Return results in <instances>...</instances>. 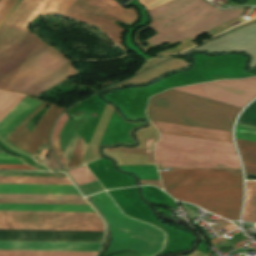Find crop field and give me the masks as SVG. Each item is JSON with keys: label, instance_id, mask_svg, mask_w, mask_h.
I'll list each match as a JSON object with an SVG mask.
<instances>
[{"label": "crop field", "instance_id": "crop-field-1", "mask_svg": "<svg viewBox=\"0 0 256 256\" xmlns=\"http://www.w3.org/2000/svg\"><path fill=\"white\" fill-rule=\"evenodd\" d=\"M75 0H23L9 21L29 29L31 20L43 14L63 15ZM105 32L119 46L125 31L113 21L129 27L138 20L133 8L123 9L114 0H76L63 15ZM7 21L0 30V71L28 30ZM77 73L60 53L29 31L0 73V89L37 96L56 83Z\"/></svg>", "mask_w": 256, "mask_h": 256}, {"label": "crop field", "instance_id": "crop-field-2", "mask_svg": "<svg viewBox=\"0 0 256 256\" xmlns=\"http://www.w3.org/2000/svg\"><path fill=\"white\" fill-rule=\"evenodd\" d=\"M169 1L139 0L147 11ZM243 10H219L203 0H173L149 11L153 20L148 26L159 32L149 41L156 48L167 42L172 45L189 37L194 39L240 16Z\"/></svg>", "mask_w": 256, "mask_h": 256}, {"label": "crop field", "instance_id": "crop-field-3", "mask_svg": "<svg viewBox=\"0 0 256 256\" xmlns=\"http://www.w3.org/2000/svg\"><path fill=\"white\" fill-rule=\"evenodd\" d=\"M241 108L170 89L150 99V120L231 132Z\"/></svg>", "mask_w": 256, "mask_h": 256}, {"label": "crop field", "instance_id": "crop-field-4", "mask_svg": "<svg viewBox=\"0 0 256 256\" xmlns=\"http://www.w3.org/2000/svg\"><path fill=\"white\" fill-rule=\"evenodd\" d=\"M92 198L111 229V243L106 254L133 250L152 256L163 248L164 232L152 225L124 216L106 192L92 195Z\"/></svg>", "mask_w": 256, "mask_h": 256}, {"label": "crop field", "instance_id": "crop-field-5", "mask_svg": "<svg viewBox=\"0 0 256 256\" xmlns=\"http://www.w3.org/2000/svg\"><path fill=\"white\" fill-rule=\"evenodd\" d=\"M37 101H33L30 99ZM1 123L0 137L11 147L20 150L31 156L39 143L48 144L50 128L56 118L65 110V108L52 103L35 99L27 96ZM40 104V105H39ZM52 105L43 115L33 132L31 133L25 126L28 121L46 105ZM39 105V106H38ZM38 106V107H37ZM37 107V108H36ZM36 108V109H35ZM35 109V110H34ZM34 110V111H33ZM33 111V112H32ZM32 112V113H31ZM31 113V114H30ZM30 114V115H29ZM29 115V116H28ZM28 116L27 118H25ZM25 118V119H24ZM24 119V120H23ZM23 120V121H22ZM22 121V122H21ZM21 122V123H20ZM20 123V124H19ZM19 124V125H18ZM18 125V126H17ZM17 126V127H16ZM16 127V128H15ZM15 128V129H14ZM14 129V130H13ZM13 130V131H12ZM12 131V132H11ZM11 132V134H10ZM10 136L8 137V135ZM8 137V139H7ZM31 153H27L15 146Z\"/></svg>", "mask_w": 256, "mask_h": 256}, {"label": "crop field", "instance_id": "crop-field-6", "mask_svg": "<svg viewBox=\"0 0 256 256\" xmlns=\"http://www.w3.org/2000/svg\"><path fill=\"white\" fill-rule=\"evenodd\" d=\"M0 229L104 231L96 213L0 211Z\"/></svg>", "mask_w": 256, "mask_h": 256}, {"label": "crop field", "instance_id": "crop-field-7", "mask_svg": "<svg viewBox=\"0 0 256 256\" xmlns=\"http://www.w3.org/2000/svg\"><path fill=\"white\" fill-rule=\"evenodd\" d=\"M163 185L165 191L177 199L188 201L229 220H238L242 202V186Z\"/></svg>", "mask_w": 256, "mask_h": 256}, {"label": "crop field", "instance_id": "crop-field-8", "mask_svg": "<svg viewBox=\"0 0 256 256\" xmlns=\"http://www.w3.org/2000/svg\"><path fill=\"white\" fill-rule=\"evenodd\" d=\"M158 167L240 168L236 154L158 143Z\"/></svg>", "mask_w": 256, "mask_h": 256}, {"label": "crop field", "instance_id": "crop-field-9", "mask_svg": "<svg viewBox=\"0 0 256 256\" xmlns=\"http://www.w3.org/2000/svg\"><path fill=\"white\" fill-rule=\"evenodd\" d=\"M175 89L243 108L245 104L256 97V77Z\"/></svg>", "mask_w": 256, "mask_h": 256}, {"label": "crop field", "instance_id": "crop-field-10", "mask_svg": "<svg viewBox=\"0 0 256 256\" xmlns=\"http://www.w3.org/2000/svg\"><path fill=\"white\" fill-rule=\"evenodd\" d=\"M102 243L0 241L2 250L98 251ZM97 252L1 251L0 256H95Z\"/></svg>", "mask_w": 256, "mask_h": 256}, {"label": "crop field", "instance_id": "crop-field-11", "mask_svg": "<svg viewBox=\"0 0 256 256\" xmlns=\"http://www.w3.org/2000/svg\"><path fill=\"white\" fill-rule=\"evenodd\" d=\"M159 173L163 183L242 185L240 170L172 169Z\"/></svg>", "mask_w": 256, "mask_h": 256}, {"label": "crop field", "instance_id": "crop-field-12", "mask_svg": "<svg viewBox=\"0 0 256 256\" xmlns=\"http://www.w3.org/2000/svg\"><path fill=\"white\" fill-rule=\"evenodd\" d=\"M152 122L160 133L232 143L231 133L228 132Z\"/></svg>", "mask_w": 256, "mask_h": 256}, {"label": "crop field", "instance_id": "crop-field-13", "mask_svg": "<svg viewBox=\"0 0 256 256\" xmlns=\"http://www.w3.org/2000/svg\"><path fill=\"white\" fill-rule=\"evenodd\" d=\"M236 137L256 140V127L237 125ZM236 138L245 171L256 174V141Z\"/></svg>", "mask_w": 256, "mask_h": 256}, {"label": "crop field", "instance_id": "crop-field-14", "mask_svg": "<svg viewBox=\"0 0 256 256\" xmlns=\"http://www.w3.org/2000/svg\"><path fill=\"white\" fill-rule=\"evenodd\" d=\"M0 193L80 195L74 186L0 184Z\"/></svg>", "mask_w": 256, "mask_h": 256}, {"label": "crop field", "instance_id": "crop-field-15", "mask_svg": "<svg viewBox=\"0 0 256 256\" xmlns=\"http://www.w3.org/2000/svg\"><path fill=\"white\" fill-rule=\"evenodd\" d=\"M161 143L236 153L232 144L161 134Z\"/></svg>", "mask_w": 256, "mask_h": 256}, {"label": "crop field", "instance_id": "crop-field-16", "mask_svg": "<svg viewBox=\"0 0 256 256\" xmlns=\"http://www.w3.org/2000/svg\"><path fill=\"white\" fill-rule=\"evenodd\" d=\"M0 210L94 212L89 206L0 204Z\"/></svg>", "mask_w": 256, "mask_h": 256}, {"label": "crop field", "instance_id": "crop-field-17", "mask_svg": "<svg viewBox=\"0 0 256 256\" xmlns=\"http://www.w3.org/2000/svg\"><path fill=\"white\" fill-rule=\"evenodd\" d=\"M0 183L72 185L68 178L51 177H0Z\"/></svg>", "mask_w": 256, "mask_h": 256}, {"label": "crop field", "instance_id": "crop-field-18", "mask_svg": "<svg viewBox=\"0 0 256 256\" xmlns=\"http://www.w3.org/2000/svg\"><path fill=\"white\" fill-rule=\"evenodd\" d=\"M25 96L15 92L0 90V122Z\"/></svg>", "mask_w": 256, "mask_h": 256}, {"label": "crop field", "instance_id": "crop-field-19", "mask_svg": "<svg viewBox=\"0 0 256 256\" xmlns=\"http://www.w3.org/2000/svg\"><path fill=\"white\" fill-rule=\"evenodd\" d=\"M243 221L256 222V182H247V202Z\"/></svg>", "mask_w": 256, "mask_h": 256}, {"label": "crop field", "instance_id": "crop-field-20", "mask_svg": "<svg viewBox=\"0 0 256 256\" xmlns=\"http://www.w3.org/2000/svg\"><path fill=\"white\" fill-rule=\"evenodd\" d=\"M67 172L79 186L96 181L86 166L68 170Z\"/></svg>", "mask_w": 256, "mask_h": 256}, {"label": "crop field", "instance_id": "crop-field-21", "mask_svg": "<svg viewBox=\"0 0 256 256\" xmlns=\"http://www.w3.org/2000/svg\"><path fill=\"white\" fill-rule=\"evenodd\" d=\"M22 0H0V29Z\"/></svg>", "mask_w": 256, "mask_h": 256}, {"label": "crop field", "instance_id": "crop-field-22", "mask_svg": "<svg viewBox=\"0 0 256 256\" xmlns=\"http://www.w3.org/2000/svg\"><path fill=\"white\" fill-rule=\"evenodd\" d=\"M0 198L83 200L82 196L0 194Z\"/></svg>", "mask_w": 256, "mask_h": 256}, {"label": "crop field", "instance_id": "crop-field-23", "mask_svg": "<svg viewBox=\"0 0 256 256\" xmlns=\"http://www.w3.org/2000/svg\"><path fill=\"white\" fill-rule=\"evenodd\" d=\"M66 118H67L66 114H63L61 116L60 120L58 121V123L55 126L53 136H52V145H53L54 152L56 154L57 159L61 162V164L64 166V168H65L67 163H66L64 157L61 154L58 135H59V131H60L63 123L65 122Z\"/></svg>", "mask_w": 256, "mask_h": 256}, {"label": "crop field", "instance_id": "crop-field-24", "mask_svg": "<svg viewBox=\"0 0 256 256\" xmlns=\"http://www.w3.org/2000/svg\"><path fill=\"white\" fill-rule=\"evenodd\" d=\"M0 157H13L6 153H0ZM0 164H24L17 158H0ZM0 169L36 170L27 165H0Z\"/></svg>", "mask_w": 256, "mask_h": 256}, {"label": "crop field", "instance_id": "crop-field-25", "mask_svg": "<svg viewBox=\"0 0 256 256\" xmlns=\"http://www.w3.org/2000/svg\"><path fill=\"white\" fill-rule=\"evenodd\" d=\"M88 145H89L88 142L80 138L78 145L74 151V154L67 168L78 166L80 164Z\"/></svg>", "mask_w": 256, "mask_h": 256}, {"label": "crop field", "instance_id": "crop-field-26", "mask_svg": "<svg viewBox=\"0 0 256 256\" xmlns=\"http://www.w3.org/2000/svg\"><path fill=\"white\" fill-rule=\"evenodd\" d=\"M48 157L49 159L46 161V167L50 169L62 170L61 167L58 165V163L55 161L49 147H48Z\"/></svg>", "mask_w": 256, "mask_h": 256}, {"label": "crop field", "instance_id": "crop-field-27", "mask_svg": "<svg viewBox=\"0 0 256 256\" xmlns=\"http://www.w3.org/2000/svg\"><path fill=\"white\" fill-rule=\"evenodd\" d=\"M182 204V203H181ZM182 206L186 209L187 213L189 214L190 218H194L196 216H198L197 214H195L193 211H191L189 208H187L185 205L182 204Z\"/></svg>", "mask_w": 256, "mask_h": 256}, {"label": "crop field", "instance_id": "crop-field-28", "mask_svg": "<svg viewBox=\"0 0 256 256\" xmlns=\"http://www.w3.org/2000/svg\"><path fill=\"white\" fill-rule=\"evenodd\" d=\"M225 229H226L228 232H230V231L236 229V227H235L233 224H231V225L225 227Z\"/></svg>", "mask_w": 256, "mask_h": 256}]
</instances>
